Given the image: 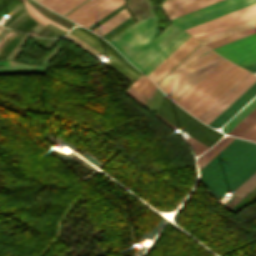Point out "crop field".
Listing matches in <instances>:
<instances>
[{
	"mask_svg": "<svg viewBox=\"0 0 256 256\" xmlns=\"http://www.w3.org/2000/svg\"><path fill=\"white\" fill-rule=\"evenodd\" d=\"M159 31L153 16L132 25L109 43L147 75L190 36L173 23L156 37Z\"/></svg>",
	"mask_w": 256,
	"mask_h": 256,
	"instance_id": "8a807250",
	"label": "crop field"
},
{
	"mask_svg": "<svg viewBox=\"0 0 256 256\" xmlns=\"http://www.w3.org/2000/svg\"><path fill=\"white\" fill-rule=\"evenodd\" d=\"M255 171L256 143L235 138L200 170V180L220 200Z\"/></svg>",
	"mask_w": 256,
	"mask_h": 256,
	"instance_id": "ac0d7876",
	"label": "crop field"
},
{
	"mask_svg": "<svg viewBox=\"0 0 256 256\" xmlns=\"http://www.w3.org/2000/svg\"><path fill=\"white\" fill-rule=\"evenodd\" d=\"M223 61L208 49L162 91L177 103Z\"/></svg>",
	"mask_w": 256,
	"mask_h": 256,
	"instance_id": "34b2d1b8",
	"label": "crop field"
},
{
	"mask_svg": "<svg viewBox=\"0 0 256 256\" xmlns=\"http://www.w3.org/2000/svg\"><path fill=\"white\" fill-rule=\"evenodd\" d=\"M253 3H256V0H222L171 19V21L186 29Z\"/></svg>",
	"mask_w": 256,
	"mask_h": 256,
	"instance_id": "412701ff",
	"label": "crop field"
},
{
	"mask_svg": "<svg viewBox=\"0 0 256 256\" xmlns=\"http://www.w3.org/2000/svg\"><path fill=\"white\" fill-rule=\"evenodd\" d=\"M163 98H165L167 101H169L171 104H173L175 107H177L179 110H181L183 113H185L189 118H191L192 120H194V121H196V122H198V123H200L201 125H203L204 127H206L207 129H209V130H211V131H213V132H215V133H217V134H219V135H221V136H223L222 134H220L219 132H217V131H215V130H213V129H211V128H209V127H207V126H205L204 124H202L201 122H199L198 120H196L194 117H192L190 114H188L187 112H185L183 109H181L179 106H177L175 103H173L171 100H169L167 97H163ZM165 99H162V101L163 102H165L169 107H171L174 111H176L177 113H179L180 115H182L183 117H185L186 119H188L189 121H191L192 123H194V124H196L197 126H199L200 128H202L203 130H205V131H207L208 133H210V134H212V135H214L215 137H217V138H221V136H219V135H217V134H215V133H213V132H211V131H209V130H207L206 128H204L203 126H201V125H199V124H197V123H195V122H193L191 119H189L185 114H183L181 111H179L177 108H175L173 105H171L169 102H167ZM160 102V104L161 105H163L165 108H167L169 111H171L173 114H175L177 117H179L180 119H182L183 121H185V122H187L188 124H190L191 126H193L194 128H196L197 130H199V131H201L202 133H204L205 135H207L208 137H210V138H212V139H214V140H219V139H217V138H215L214 136H212V135H210V134H208L207 132H205V131H203L202 129H200L199 127H197V126H195L194 124H192L191 122H189L188 120H186L185 118H183L182 116H180L179 114H177L176 112H174L172 109H170L166 104H164L163 102ZM161 105H159V107L160 108H162L164 111H166L169 115H171L173 118H175L176 120H178L179 122H181L182 124H184L185 126H187V127H189V128H191L192 130H194V131H196V132H198L199 134H201V135H203L204 137H206L207 139H209V140H211L212 142H216V141H214V140H212V139H210V138H208L207 136H205L204 134H202V133H200L199 131H197L196 129H194L193 127H191L190 125H188L187 123H185V122H183L182 120H180L179 118H177L175 115H173L171 112H169L167 109H165L163 106H161ZM160 108H158V110H157V112H159L161 115H163L165 118H167L169 121H171L172 123H174L176 126H178L180 129H182V130H184L185 132H187V133H189V134H191V135H193L194 137H196V138H198L199 140H201V141H203V142H205L206 144H208V145H213L214 143H212V142H210L209 140H207L206 138H204V137H202L201 135H199L198 133H196V132H194V131H192L191 129H189V128H187V127H185L184 125H182L181 123H179L178 121H176L175 119H173L171 116H169L167 113H165L162 109H160ZM156 112V113H157ZM158 114V113H157ZM159 114V115H160ZM160 115V116H161ZM163 116H161V117H163ZM163 117V118H164ZM164 118V119H165ZM167 119H165V120H167ZM167 120V121H168ZM168 121V122H169ZM170 122V123H171ZM171 123V124H172ZM174 124H172V125H174ZM174 125V126H175ZM175 126V127H176ZM177 127V128H178ZM190 135V136H191ZM192 136V137H193ZM193 137V138H194ZM195 138V139H196ZM198 139H196V140H198ZM198 140V141H199ZM200 141V142H201ZM202 142V143H203ZM204 143V144H205ZM205 144V145H206ZM207 145V146H208ZM209 146V147H210Z\"/></svg>",
	"mask_w": 256,
	"mask_h": 256,
	"instance_id": "f4fd0767",
	"label": "crop field"
},
{
	"mask_svg": "<svg viewBox=\"0 0 256 256\" xmlns=\"http://www.w3.org/2000/svg\"><path fill=\"white\" fill-rule=\"evenodd\" d=\"M237 67L225 60L177 104L188 111Z\"/></svg>",
	"mask_w": 256,
	"mask_h": 256,
	"instance_id": "dd49c442",
	"label": "crop field"
},
{
	"mask_svg": "<svg viewBox=\"0 0 256 256\" xmlns=\"http://www.w3.org/2000/svg\"><path fill=\"white\" fill-rule=\"evenodd\" d=\"M121 4L123 0H89L66 17L88 28Z\"/></svg>",
	"mask_w": 256,
	"mask_h": 256,
	"instance_id": "e52e79f7",
	"label": "crop field"
},
{
	"mask_svg": "<svg viewBox=\"0 0 256 256\" xmlns=\"http://www.w3.org/2000/svg\"><path fill=\"white\" fill-rule=\"evenodd\" d=\"M213 49L243 67L256 61V33Z\"/></svg>",
	"mask_w": 256,
	"mask_h": 256,
	"instance_id": "d8731c3e",
	"label": "crop field"
},
{
	"mask_svg": "<svg viewBox=\"0 0 256 256\" xmlns=\"http://www.w3.org/2000/svg\"><path fill=\"white\" fill-rule=\"evenodd\" d=\"M200 42L193 37H189L175 51H173L164 61H162L148 76L156 83L163 78L172 68H174L183 58H185Z\"/></svg>",
	"mask_w": 256,
	"mask_h": 256,
	"instance_id": "5a996713",
	"label": "crop field"
},
{
	"mask_svg": "<svg viewBox=\"0 0 256 256\" xmlns=\"http://www.w3.org/2000/svg\"><path fill=\"white\" fill-rule=\"evenodd\" d=\"M247 72L248 71L238 67L188 112L197 118Z\"/></svg>",
	"mask_w": 256,
	"mask_h": 256,
	"instance_id": "3316defc",
	"label": "crop field"
},
{
	"mask_svg": "<svg viewBox=\"0 0 256 256\" xmlns=\"http://www.w3.org/2000/svg\"><path fill=\"white\" fill-rule=\"evenodd\" d=\"M256 96V82L253 83L245 92H243L234 102H232L224 111H222L208 125L211 127H221L252 98Z\"/></svg>",
	"mask_w": 256,
	"mask_h": 256,
	"instance_id": "28ad6ade",
	"label": "crop field"
},
{
	"mask_svg": "<svg viewBox=\"0 0 256 256\" xmlns=\"http://www.w3.org/2000/svg\"><path fill=\"white\" fill-rule=\"evenodd\" d=\"M216 1L219 0H166L162 7L171 19Z\"/></svg>",
	"mask_w": 256,
	"mask_h": 256,
	"instance_id": "d1516ede",
	"label": "crop field"
},
{
	"mask_svg": "<svg viewBox=\"0 0 256 256\" xmlns=\"http://www.w3.org/2000/svg\"><path fill=\"white\" fill-rule=\"evenodd\" d=\"M71 34H73L74 36L78 37L79 39L83 40L84 42L88 43L89 45H91L92 47H94L95 49H97L99 52H101L102 54H104L105 56H107L108 58H110L111 60H113L115 63H117L119 66H121L123 69H125L126 71H128L129 73L133 74L134 76H136L135 74H137L136 72H134L130 67H128L120 58H118L109 48H107L105 45L102 46L103 44L100 43L98 40H96L95 38H93L92 36L88 35L87 33H85L84 31L80 30L79 28L75 27L70 31ZM116 57L120 62H122L126 67H128L131 71H133L134 73H132L128 68H126L122 63H120L116 58ZM138 75V74H137ZM139 76V75H138ZM136 76V77H138Z\"/></svg>",
	"mask_w": 256,
	"mask_h": 256,
	"instance_id": "22f410ed",
	"label": "crop field"
},
{
	"mask_svg": "<svg viewBox=\"0 0 256 256\" xmlns=\"http://www.w3.org/2000/svg\"><path fill=\"white\" fill-rule=\"evenodd\" d=\"M149 79V78H148ZM145 78L144 76H140L135 82H133L131 85L136 88L142 95H144L147 99L150 96V94L155 89V85ZM129 86L124 92H126L129 96H131L134 100L139 102L141 105L144 106L146 102V98L142 96L136 89H134L132 86Z\"/></svg>",
	"mask_w": 256,
	"mask_h": 256,
	"instance_id": "cbeb9de0",
	"label": "crop field"
},
{
	"mask_svg": "<svg viewBox=\"0 0 256 256\" xmlns=\"http://www.w3.org/2000/svg\"><path fill=\"white\" fill-rule=\"evenodd\" d=\"M254 10H256V4H253V5H250L248 7L242 8L240 10L234 11L232 13L223 15L221 17L215 18L213 20L207 21L205 23L199 24L197 26L191 27V28L186 29V30L189 33L193 34L195 32L201 31L203 29L209 28L211 26L217 25L219 23L225 22L227 20L233 19L235 17H238L240 15L246 14V13L254 11Z\"/></svg>",
	"mask_w": 256,
	"mask_h": 256,
	"instance_id": "5142ce71",
	"label": "crop field"
},
{
	"mask_svg": "<svg viewBox=\"0 0 256 256\" xmlns=\"http://www.w3.org/2000/svg\"><path fill=\"white\" fill-rule=\"evenodd\" d=\"M199 47V46H198ZM197 47V48H198ZM208 48L201 45L189 57H187L181 64H179L172 72H170L163 80L158 83L161 90L167 86L175 77H177L184 69H186L193 61H195Z\"/></svg>",
	"mask_w": 256,
	"mask_h": 256,
	"instance_id": "d9b57169",
	"label": "crop field"
},
{
	"mask_svg": "<svg viewBox=\"0 0 256 256\" xmlns=\"http://www.w3.org/2000/svg\"><path fill=\"white\" fill-rule=\"evenodd\" d=\"M0 68H9L1 69L0 75L45 73L47 69L46 66H28L12 61H10L9 67L0 66Z\"/></svg>",
	"mask_w": 256,
	"mask_h": 256,
	"instance_id": "733c2abd",
	"label": "crop field"
},
{
	"mask_svg": "<svg viewBox=\"0 0 256 256\" xmlns=\"http://www.w3.org/2000/svg\"><path fill=\"white\" fill-rule=\"evenodd\" d=\"M254 18H256V11L253 12V13L247 14V15H245V16L236 18V19H234V20L228 21V22H226V23L217 25V26H215V27L206 29V30H204V31L198 32V33L193 34V35H194L196 38L200 39V38H203V37H205V36H208V35H211V34H213V33L222 31V30H224V29H227V28H230V27H232V26L241 24V23H243V22L249 21V20L254 19Z\"/></svg>",
	"mask_w": 256,
	"mask_h": 256,
	"instance_id": "4a817a6b",
	"label": "crop field"
},
{
	"mask_svg": "<svg viewBox=\"0 0 256 256\" xmlns=\"http://www.w3.org/2000/svg\"><path fill=\"white\" fill-rule=\"evenodd\" d=\"M128 17L130 16L124 9L92 31L101 36L113 27H115L116 25H118L119 23H121L122 21H124L125 19H127Z\"/></svg>",
	"mask_w": 256,
	"mask_h": 256,
	"instance_id": "bc2a9ffb",
	"label": "crop field"
},
{
	"mask_svg": "<svg viewBox=\"0 0 256 256\" xmlns=\"http://www.w3.org/2000/svg\"><path fill=\"white\" fill-rule=\"evenodd\" d=\"M254 25H256V19L251 20V21L246 22V23H243V24H241V25L232 27V28H230V29L224 30V31H222V32L213 34V35H211V36L205 37V38H203V39H200V41H202L204 44H206V43H208V42L214 41V40H216V39L222 38V37H224V36L230 35V34H232V33L238 32V31H240V30L246 29V28L251 27V26H254Z\"/></svg>",
	"mask_w": 256,
	"mask_h": 256,
	"instance_id": "214f88e0",
	"label": "crop field"
},
{
	"mask_svg": "<svg viewBox=\"0 0 256 256\" xmlns=\"http://www.w3.org/2000/svg\"><path fill=\"white\" fill-rule=\"evenodd\" d=\"M254 123H256V108L249 115H247L237 126H235L230 132L232 135L240 137ZM228 134L230 135V133Z\"/></svg>",
	"mask_w": 256,
	"mask_h": 256,
	"instance_id": "92a150f3",
	"label": "crop field"
},
{
	"mask_svg": "<svg viewBox=\"0 0 256 256\" xmlns=\"http://www.w3.org/2000/svg\"><path fill=\"white\" fill-rule=\"evenodd\" d=\"M28 14L34 18L36 21H38L39 23L43 24V25H46L48 24L49 22L65 31L68 32L69 29L61 26V25H58L56 23H54L52 20H50L49 18L45 17L44 15L40 14L35 8H33L29 2L26 0L23 2Z\"/></svg>",
	"mask_w": 256,
	"mask_h": 256,
	"instance_id": "dafd665d",
	"label": "crop field"
},
{
	"mask_svg": "<svg viewBox=\"0 0 256 256\" xmlns=\"http://www.w3.org/2000/svg\"><path fill=\"white\" fill-rule=\"evenodd\" d=\"M255 107H256V98L253 99L247 106H245L239 113H237L229 122H227V132Z\"/></svg>",
	"mask_w": 256,
	"mask_h": 256,
	"instance_id": "00972430",
	"label": "crop field"
},
{
	"mask_svg": "<svg viewBox=\"0 0 256 256\" xmlns=\"http://www.w3.org/2000/svg\"><path fill=\"white\" fill-rule=\"evenodd\" d=\"M254 77L255 75L252 74L238 88H236L227 98H225L217 107H215L207 116H205L201 121L205 123L210 117H212L223 105H225L236 93H238Z\"/></svg>",
	"mask_w": 256,
	"mask_h": 256,
	"instance_id": "a9b5d70f",
	"label": "crop field"
},
{
	"mask_svg": "<svg viewBox=\"0 0 256 256\" xmlns=\"http://www.w3.org/2000/svg\"><path fill=\"white\" fill-rule=\"evenodd\" d=\"M255 31H256V26L251 27V28L246 29V30H243V31H241V32L235 33V34H233V35L227 36V37H225V38L219 39V40H217V41L211 42V43L206 44V45L209 46V47H211V48H213V47H215V46L221 45V44H223V43H226V42H229V41H231V40L237 39V38H239V37L245 36V35H247V34L253 33V32H255Z\"/></svg>",
	"mask_w": 256,
	"mask_h": 256,
	"instance_id": "4177f3b9",
	"label": "crop field"
},
{
	"mask_svg": "<svg viewBox=\"0 0 256 256\" xmlns=\"http://www.w3.org/2000/svg\"><path fill=\"white\" fill-rule=\"evenodd\" d=\"M256 185V172L247 180L245 181L237 190L233 192V194L243 197L247 194L254 186Z\"/></svg>",
	"mask_w": 256,
	"mask_h": 256,
	"instance_id": "730fd06b",
	"label": "crop field"
},
{
	"mask_svg": "<svg viewBox=\"0 0 256 256\" xmlns=\"http://www.w3.org/2000/svg\"><path fill=\"white\" fill-rule=\"evenodd\" d=\"M251 73H247L244 77H242L234 86H232L223 96H221L213 105H211L203 114H201L198 119H202L205 115H207L215 106H217L226 96H228L236 87H238L246 78H248Z\"/></svg>",
	"mask_w": 256,
	"mask_h": 256,
	"instance_id": "eef30255",
	"label": "crop field"
},
{
	"mask_svg": "<svg viewBox=\"0 0 256 256\" xmlns=\"http://www.w3.org/2000/svg\"><path fill=\"white\" fill-rule=\"evenodd\" d=\"M83 1L84 0H68L67 2L56 8L54 11L63 15Z\"/></svg>",
	"mask_w": 256,
	"mask_h": 256,
	"instance_id": "ae1a2a85",
	"label": "crop field"
},
{
	"mask_svg": "<svg viewBox=\"0 0 256 256\" xmlns=\"http://www.w3.org/2000/svg\"><path fill=\"white\" fill-rule=\"evenodd\" d=\"M19 33L12 39L10 40L1 50L0 56L3 54V52L7 49V47L17 38ZM24 37V35L20 34L18 38L8 47V49L5 51V53L1 56L0 59H5L6 56L9 54V52L14 48V46Z\"/></svg>",
	"mask_w": 256,
	"mask_h": 256,
	"instance_id": "d3111659",
	"label": "crop field"
},
{
	"mask_svg": "<svg viewBox=\"0 0 256 256\" xmlns=\"http://www.w3.org/2000/svg\"><path fill=\"white\" fill-rule=\"evenodd\" d=\"M186 140L191 144V146L194 149L196 155L201 154L202 152H204L206 149L209 148V147L205 146L204 144L196 141L195 139H193L191 137L186 139Z\"/></svg>",
	"mask_w": 256,
	"mask_h": 256,
	"instance_id": "750c4746",
	"label": "crop field"
},
{
	"mask_svg": "<svg viewBox=\"0 0 256 256\" xmlns=\"http://www.w3.org/2000/svg\"><path fill=\"white\" fill-rule=\"evenodd\" d=\"M162 93H161V91L158 89V91L155 93V95L153 96V98H152V100H151V102H150V104H149V106H148V110H150L152 113H154V111H155V109H156V107H157V105H158V103H159V101H160V99H161V97H162Z\"/></svg>",
	"mask_w": 256,
	"mask_h": 256,
	"instance_id": "bd1437ed",
	"label": "crop field"
},
{
	"mask_svg": "<svg viewBox=\"0 0 256 256\" xmlns=\"http://www.w3.org/2000/svg\"><path fill=\"white\" fill-rule=\"evenodd\" d=\"M65 1L67 0H41L39 3L53 10Z\"/></svg>",
	"mask_w": 256,
	"mask_h": 256,
	"instance_id": "1d83c4d3",
	"label": "crop field"
},
{
	"mask_svg": "<svg viewBox=\"0 0 256 256\" xmlns=\"http://www.w3.org/2000/svg\"><path fill=\"white\" fill-rule=\"evenodd\" d=\"M256 81V77L249 82L238 94H236L225 106H223L212 118H210L206 123L208 124L212 119H214L222 110H224L233 100H235L243 91H245L253 82Z\"/></svg>",
	"mask_w": 256,
	"mask_h": 256,
	"instance_id": "120bbe31",
	"label": "crop field"
},
{
	"mask_svg": "<svg viewBox=\"0 0 256 256\" xmlns=\"http://www.w3.org/2000/svg\"><path fill=\"white\" fill-rule=\"evenodd\" d=\"M66 38L76 42L77 44H79L80 46H82L83 48L87 49L88 51H90L91 53L95 54L98 53L95 49H93L91 46H89L88 44L84 43L83 41L79 40L78 38L74 37L71 34H68L66 36Z\"/></svg>",
	"mask_w": 256,
	"mask_h": 256,
	"instance_id": "d32e631a",
	"label": "crop field"
},
{
	"mask_svg": "<svg viewBox=\"0 0 256 256\" xmlns=\"http://www.w3.org/2000/svg\"><path fill=\"white\" fill-rule=\"evenodd\" d=\"M229 137H226L215 144L210 150H208L203 156L200 157L199 164L203 162L209 155H211L222 143H224Z\"/></svg>",
	"mask_w": 256,
	"mask_h": 256,
	"instance_id": "5866460e",
	"label": "crop field"
},
{
	"mask_svg": "<svg viewBox=\"0 0 256 256\" xmlns=\"http://www.w3.org/2000/svg\"><path fill=\"white\" fill-rule=\"evenodd\" d=\"M241 138L254 141L256 139V124L253 125L245 134H243Z\"/></svg>",
	"mask_w": 256,
	"mask_h": 256,
	"instance_id": "028f5c9d",
	"label": "crop field"
},
{
	"mask_svg": "<svg viewBox=\"0 0 256 256\" xmlns=\"http://www.w3.org/2000/svg\"><path fill=\"white\" fill-rule=\"evenodd\" d=\"M82 30H84L85 32H87L88 34L92 35L93 37H95L96 39H98L99 41H101L102 43H104L107 47H109L116 55H118L128 66H130L107 42L103 41L102 39H100L97 35L87 31L86 29L79 27ZM132 69H134L132 66H130ZM135 70V69H134ZM136 71V70H135ZM137 72V71H136ZM139 73V72H138ZM140 74V73H139ZM141 75V74H140Z\"/></svg>",
	"mask_w": 256,
	"mask_h": 256,
	"instance_id": "e1f06a70",
	"label": "crop field"
},
{
	"mask_svg": "<svg viewBox=\"0 0 256 256\" xmlns=\"http://www.w3.org/2000/svg\"><path fill=\"white\" fill-rule=\"evenodd\" d=\"M31 20H32V19L29 17L26 21H24V22H23L20 26H18L15 30H19L20 28H22L25 24H27V23H28L29 21H31ZM32 21H33V20H32ZM32 21H31V22H32ZM31 22H29V23H31ZM29 23H28V24H29ZM34 23H35V22L33 21L31 24H29V25L27 24V25H28V26L26 25L27 27H26V26L23 27V28L26 27L25 29L22 28L23 30L20 29L19 31L22 30V32H24L26 29H28V28H29L32 24H34ZM37 24H38V23L36 22V23H35L34 25H32L28 30H26L25 33H27L28 31H30V30H31L33 27H35Z\"/></svg>",
	"mask_w": 256,
	"mask_h": 256,
	"instance_id": "0bd39190",
	"label": "crop field"
},
{
	"mask_svg": "<svg viewBox=\"0 0 256 256\" xmlns=\"http://www.w3.org/2000/svg\"><path fill=\"white\" fill-rule=\"evenodd\" d=\"M234 138L231 137L228 141H226L220 148H218L208 159H206L200 166H198V169H200L202 166H204L211 158H213L221 149H223L230 141H232Z\"/></svg>",
	"mask_w": 256,
	"mask_h": 256,
	"instance_id": "b80d0937",
	"label": "crop field"
},
{
	"mask_svg": "<svg viewBox=\"0 0 256 256\" xmlns=\"http://www.w3.org/2000/svg\"><path fill=\"white\" fill-rule=\"evenodd\" d=\"M24 11H23V9L21 8L20 10H18L14 15H12L11 17H10V19L9 20H7L4 24H2L4 27L6 26V25H8L12 20H14L16 17H18L21 13H23Z\"/></svg>",
	"mask_w": 256,
	"mask_h": 256,
	"instance_id": "c035e120",
	"label": "crop field"
},
{
	"mask_svg": "<svg viewBox=\"0 0 256 256\" xmlns=\"http://www.w3.org/2000/svg\"><path fill=\"white\" fill-rule=\"evenodd\" d=\"M13 1H14V0H13ZM13 1H12V2H13ZM17 1H18V0H15L13 3L11 2L12 4H11V3H10V4L13 5V4H14L15 2H17ZM18 2H19V1H18ZM18 2H17V3H18ZM17 3H15L14 5H16ZM10 4H9V5H10ZM18 4H19V3H18ZM18 4H17V5H18ZM11 5H10V6H11ZM14 5H13V6H14ZM17 5H16V6H17ZM19 5L24 9V7H23V5H22L21 2H20ZM10 6H9V7H10ZM13 6H11V8H12ZM16 6H15V7H16ZM6 7H7V6H6ZM6 7H5V8H6ZM9 7H7L6 9H8ZM5 8H4V9H5ZM13 8H14V7H13ZM13 8H12V9H13ZM4 9H2V10H4ZM6 9H5V10H6ZM12 9H11V10H12ZM2 10H1V11H2ZM5 10H4V11H5ZM8 10H10V8H9ZM8 10H6L5 12L3 11V12L6 13ZM11 10H10V11H11ZM24 10H25V9H24ZM1 11H0V12H1ZM3 12H1V13H3ZM8 12H9V11H8ZM8 12H7V13H8ZM1 13H0V14H1ZM4 13H3V14H4ZM7 13H6V14H7ZM3 14H1L0 16H2ZM6 14H4L3 16H5ZM3 16H2V17H3ZM2 17H1V18H2ZM1 18H0V19H1Z\"/></svg>",
	"mask_w": 256,
	"mask_h": 256,
	"instance_id": "c21b1889",
	"label": "crop field"
},
{
	"mask_svg": "<svg viewBox=\"0 0 256 256\" xmlns=\"http://www.w3.org/2000/svg\"><path fill=\"white\" fill-rule=\"evenodd\" d=\"M133 21H130L129 23H127L126 25H124L122 28H120L119 30H117L116 32H114L113 34H111L110 36H108L107 38H105L106 40L111 39L112 37H114L116 34H118L119 32H121L122 30H124L126 27H128L130 24H132Z\"/></svg>",
	"mask_w": 256,
	"mask_h": 256,
	"instance_id": "03da06ac",
	"label": "crop field"
},
{
	"mask_svg": "<svg viewBox=\"0 0 256 256\" xmlns=\"http://www.w3.org/2000/svg\"><path fill=\"white\" fill-rule=\"evenodd\" d=\"M46 27L52 29L53 31L57 32L58 34H60L62 36L66 33V32H64V31H62V30L52 26L50 23L48 25H46Z\"/></svg>",
	"mask_w": 256,
	"mask_h": 256,
	"instance_id": "b54c1fbb",
	"label": "crop field"
},
{
	"mask_svg": "<svg viewBox=\"0 0 256 256\" xmlns=\"http://www.w3.org/2000/svg\"><path fill=\"white\" fill-rule=\"evenodd\" d=\"M244 68L251 71V72H254V71H256V63H254L252 65H249V66H246Z\"/></svg>",
	"mask_w": 256,
	"mask_h": 256,
	"instance_id": "5d738f31",
	"label": "crop field"
},
{
	"mask_svg": "<svg viewBox=\"0 0 256 256\" xmlns=\"http://www.w3.org/2000/svg\"><path fill=\"white\" fill-rule=\"evenodd\" d=\"M113 64L115 67H117L118 69H120L121 71H123L125 74H127L128 76H130L132 79L135 80L136 77L132 76L131 74H129L128 72H126L125 70H123L121 67H119L117 64H115L114 62L111 63Z\"/></svg>",
	"mask_w": 256,
	"mask_h": 256,
	"instance_id": "d23c7cc5",
	"label": "crop field"
},
{
	"mask_svg": "<svg viewBox=\"0 0 256 256\" xmlns=\"http://www.w3.org/2000/svg\"><path fill=\"white\" fill-rule=\"evenodd\" d=\"M14 32L10 31L4 38H2L0 40V46L4 43V41L10 36L12 35Z\"/></svg>",
	"mask_w": 256,
	"mask_h": 256,
	"instance_id": "425ffa30",
	"label": "crop field"
},
{
	"mask_svg": "<svg viewBox=\"0 0 256 256\" xmlns=\"http://www.w3.org/2000/svg\"><path fill=\"white\" fill-rule=\"evenodd\" d=\"M156 117H158L161 121H163L165 124L169 125L170 127L174 128L176 131L179 130L177 128H175L174 126H172L171 124H169L168 122H166L164 119H162L159 115L155 114Z\"/></svg>",
	"mask_w": 256,
	"mask_h": 256,
	"instance_id": "25e5ab78",
	"label": "crop field"
},
{
	"mask_svg": "<svg viewBox=\"0 0 256 256\" xmlns=\"http://www.w3.org/2000/svg\"><path fill=\"white\" fill-rule=\"evenodd\" d=\"M26 16V15H25ZM29 16L27 15L26 17H24L22 20H20L17 24H15L13 27H11V29L16 28L18 25H20L24 20H26Z\"/></svg>",
	"mask_w": 256,
	"mask_h": 256,
	"instance_id": "73cf0c24",
	"label": "crop field"
},
{
	"mask_svg": "<svg viewBox=\"0 0 256 256\" xmlns=\"http://www.w3.org/2000/svg\"><path fill=\"white\" fill-rule=\"evenodd\" d=\"M9 1H10V0H1V1H0V8H1L2 6H4L6 3H8ZM6 5H7V4H6ZM6 5H5V6H6ZM2 8H3V7H2ZM2 8H1V9H2ZM1 9H0V10H1Z\"/></svg>",
	"mask_w": 256,
	"mask_h": 256,
	"instance_id": "89e229c0",
	"label": "crop field"
},
{
	"mask_svg": "<svg viewBox=\"0 0 256 256\" xmlns=\"http://www.w3.org/2000/svg\"><path fill=\"white\" fill-rule=\"evenodd\" d=\"M9 61H0V65H7L8 66Z\"/></svg>",
	"mask_w": 256,
	"mask_h": 256,
	"instance_id": "1f2cbd36",
	"label": "crop field"
},
{
	"mask_svg": "<svg viewBox=\"0 0 256 256\" xmlns=\"http://www.w3.org/2000/svg\"><path fill=\"white\" fill-rule=\"evenodd\" d=\"M47 40H48L47 38H44V40L41 42L40 46L42 47L46 43Z\"/></svg>",
	"mask_w": 256,
	"mask_h": 256,
	"instance_id": "dbb93151",
	"label": "crop field"
},
{
	"mask_svg": "<svg viewBox=\"0 0 256 256\" xmlns=\"http://www.w3.org/2000/svg\"><path fill=\"white\" fill-rule=\"evenodd\" d=\"M16 34H17V33H16ZM16 34H14L13 36H11V37L7 40V42H8L12 37H14ZM7 42H6V43H7ZM6 43H5V44H6ZM5 44H4V45H5ZM4 45H3V46H4ZM3 46H2V47H3ZM2 47L0 48V50L2 49Z\"/></svg>",
	"mask_w": 256,
	"mask_h": 256,
	"instance_id": "0fb4a251",
	"label": "crop field"
},
{
	"mask_svg": "<svg viewBox=\"0 0 256 256\" xmlns=\"http://www.w3.org/2000/svg\"><path fill=\"white\" fill-rule=\"evenodd\" d=\"M53 33H54V32L51 31L47 37H50Z\"/></svg>",
	"mask_w": 256,
	"mask_h": 256,
	"instance_id": "1d79db26",
	"label": "crop field"
},
{
	"mask_svg": "<svg viewBox=\"0 0 256 256\" xmlns=\"http://www.w3.org/2000/svg\"><path fill=\"white\" fill-rule=\"evenodd\" d=\"M8 32H9V30H8L5 34H3V35L0 37V39H1L4 35H6Z\"/></svg>",
	"mask_w": 256,
	"mask_h": 256,
	"instance_id": "9d1cf04e",
	"label": "crop field"
},
{
	"mask_svg": "<svg viewBox=\"0 0 256 256\" xmlns=\"http://www.w3.org/2000/svg\"><path fill=\"white\" fill-rule=\"evenodd\" d=\"M3 29V27L0 26V31Z\"/></svg>",
	"mask_w": 256,
	"mask_h": 256,
	"instance_id": "447ae74e",
	"label": "crop field"
},
{
	"mask_svg": "<svg viewBox=\"0 0 256 256\" xmlns=\"http://www.w3.org/2000/svg\"><path fill=\"white\" fill-rule=\"evenodd\" d=\"M35 1H37V2H38V1H40V0H35Z\"/></svg>",
	"mask_w": 256,
	"mask_h": 256,
	"instance_id": "0765c3eb",
	"label": "crop field"
},
{
	"mask_svg": "<svg viewBox=\"0 0 256 256\" xmlns=\"http://www.w3.org/2000/svg\"><path fill=\"white\" fill-rule=\"evenodd\" d=\"M255 142H256V140H255Z\"/></svg>",
	"mask_w": 256,
	"mask_h": 256,
	"instance_id": "db79e9e6",
	"label": "crop field"
},
{
	"mask_svg": "<svg viewBox=\"0 0 256 256\" xmlns=\"http://www.w3.org/2000/svg\"><path fill=\"white\" fill-rule=\"evenodd\" d=\"M22 1H24V0H22Z\"/></svg>",
	"mask_w": 256,
	"mask_h": 256,
	"instance_id": "7b73153f",
	"label": "crop field"
}]
</instances>
